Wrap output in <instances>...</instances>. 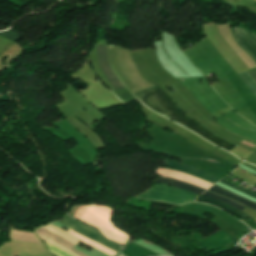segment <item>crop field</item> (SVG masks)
<instances>
[{"mask_svg": "<svg viewBox=\"0 0 256 256\" xmlns=\"http://www.w3.org/2000/svg\"><path fill=\"white\" fill-rule=\"evenodd\" d=\"M134 97L143 104H145L151 110L156 111L168 117L169 119L174 120L175 122L192 130L193 132L199 134L200 136L206 138L212 143L228 151L236 146L216 137L206 128L184 115L178 109V107L165 95L164 91L159 89L157 86L136 93L134 94Z\"/></svg>", "mask_w": 256, "mask_h": 256, "instance_id": "8a807250", "label": "crop field"}, {"mask_svg": "<svg viewBox=\"0 0 256 256\" xmlns=\"http://www.w3.org/2000/svg\"><path fill=\"white\" fill-rule=\"evenodd\" d=\"M59 222L68 226L69 228H71V229H73V230H75V231H77V232H79V233H81V234H83V235H85V236H87V237H89V238H91V239H93V240H95V241H97V242H99V243L117 251V252H119V250H120L119 246L103 239L95 229H93L91 227H88V226L80 223L77 220L72 219L68 215L66 216L65 219H63ZM43 227L52 231V232H54V233H56V234H58V235H60V236H62V237H64V238H66V239H68V240H70V241H72V242H74V243H76V244L78 242H80L81 239H83L82 242H84V243H86V244H88L92 247H95V248H97V249H99V250H101V251H103V252H105V253H107L111 256L116 254V252H114V251H112V250H110V249H108V248H106V247H104V246H102V245H100V244H98V243H96V242H94V241H92V240H90V239H88V238L70 230V229H68L67 232H69V233H71V234H73V235H75V236H77L81 239H79V238H77V237H75V236H73V235H71V234L53 226V225H51V224L45 225ZM44 228H42V227L38 228L36 230V233L45 237V238H47V239H49V240H51V241H53V242H55V243H57V244H59V245H61V246H63L64 248L76 253L79 256H86V255H84V254H82V253H80V252H78L77 250L74 249L75 244H73V243L55 235L54 233H52V232H50V231H48Z\"/></svg>", "mask_w": 256, "mask_h": 256, "instance_id": "ac0d7876", "label": "crop field"}, {"mask_svg": "<svg viewBox=\"0 0 256 256\" xmlns=\"http://www.w3.org/2000/svg\"><path fill=\"white\" fill-rule=\"evenodd\" d=\"M88 207L110 217L111 211L106 209V208L96 207V206H88ZM89 208L81 207L80 210L77 212V214L75 213L76 216H78V217H80L82 219H85V220H87V221H89L91 223H94V224H96V225H98L100 227H103V228H105V229H107L109 231H112V232H114V233H116L118 235H121V236H123V237L128 239V236L126 234L120 232L119 230H117L116 228H114L112 226L109 217H107V216H105L103 214H100V213H98L96 211H93V210H91ZM76 216H74V217H76ZM78 217H76V218H78ZM80 218H78V219H80ZM82 219H80V220H82ZM85 220H82V221H85ZM87 221H85V222H87ZM89 222H87V223H89ZM91 223H89V224H91ZM94 224H91V225L97 227L107 237H109V238H111V239H113V240H115V241H117V242H119V243H121L123 245L126 244L127 239H125V238H123L121 236H118V235H116V234H114L112 232H109V231H107V230H105L103 228H100V227H98V226H96Z\"/></svg>", "mask_w": 256, "mask_h": 256, "instance_id": "34b2d1b8", "label": "crop field"}, {"mask_svg": "<svg viewBox=\"0 0 256 256\" xmlns=\"http://www.w3.org/2000/svg\"><path fill=\"white\" fill-rule=\"evenodd\" d=\"M97 57L103 74L110 81L115 91L124 89V86L110 67L106 46H97Z\"/></svg>", "mask_w": 256, "mask_h": 256, "instance_id": "412701ff", "label": "crop field"}, {"mask_svg": "<svg viewBox=\"0 0 256 256\" xmlns=\"http://www.w3.org/2000/svg\"><path fill=\"white\" fill-rule=\"evenodd\" d=\"M232 33L238 43L249 53L256 62V34L242 28H232Z\"/></svg>", "mask_w": 256, "mask_h": 256, "instance_id": "f4fd0767", "label": "crop field"}, {"mask_svg": "<svg viewBox=\"0 0 256 256\" xmlns=\"http://www.w3.org/2000/svg\"><path fill=\"white\" fill-rule=\"evenodd\" d=\"M165 165L170 167V168L188 173L192 176H195V177H198V178H201V179L213 182V183L220 180V179H218V178H216V177H214L210 174H207V173H204V172L200 171L197 168L190 167V166H187V165L172 163V162H169V161H165Z\"/></svg>", "mask_w": 256, "mask_h": 256, "instance_id": "dd49c442", "label": "crop field"}, {"mask_svg": "<svg viewBox=\"0 0 256 256\" xmlns=\"http://www.w3.org/2000/svg\"><path fill=\"white\" fill-rule=\"evenodd\" d=\"M156 183H163V184L171 185L173 187L184 189V190L196 193V194H201L205 191L203 189L197 188L195 186H192V185L180 182V181H176V180H172V179H168V178H162V177H159L158 180L156 181Z\"/></svg>", "mask_w": 256, "mask_h": 256, "instance_id": "e52e79f7", "label": "crop field"}, {"mask_svg": "<svg viewBox=\"0 0 256 256\" xmlns=\"http://www.w3.org/2000/svg\"><path fill=\"white\" fill-rule=\"evenodd\" d=\"M196 202H202V203H206V204H209V205L216 206V207H218V208H220V209H224V210H226V211H228V212L233 213L234 215H236V216H237L238 218H240V219L249 220V217H247L244 213H242V212H240V211H237V210H235V209H233V208H230V207H228V206H226V205H224V204H222V203H220V202H218V201H215V200H213V199L204 198V197H200V196H199V197L196 199Z\"/></svg>", "mask_w": 256, "mask_h": 256, "instance_id": "d8731c3e", "label": "crop field"}, {"mask_svg": "<svg viewBox=\"0 0 256 256\" xmlns=\"http://www.w3.org/2000/svg\"><path fill=\"white\" fill-rule=\"evenodd\" d=\"M209 190L213 191L215 193H218L220 195H223L225 197L231 198V199H233V200H235V201H237V202H239V203H241V204H243V205H245V206H247L249 208H252V209L256 210V204L255 203H252V202H250V201H248V200H246V199H244L242 197H239V196H237V195H235V194H233L231 192H228V191H226V190H224L222 188H219V187H217L215 185L211 189H209Z\"/></svg>", "mask_w": 256, "mask_h": 256, "instance_id": "5a996713", "label": "crop field"}, {"mask_svg": "<svg viewBox=\"0 0 256 256\" xmlns=\"http://www.w3.org/2000/svg\"><path fill=\"white\" fill-rule=\"evenodd\" d=\"M12 238H13V241L31 242V243L40 244L37 238L33 235V232L20 231V230L14 229L12 233Z\"/></svg>", "mask_w": 256, "mask_h": 256, "instance_id": "3316defc", "label": "crop field"}, {"mask_svg": "<svg viewBox=\"0 0 256 256\" xmlns=\"http://www.w3.org/2000/svg\"><path fill=\"white\" fill-rule=\"evenodd\" d=\"M201 196H205V197H210V198L216 199V200L221 201V202H223V203H225V204H228V205H230V206H232V207H234V208H236V209H238V210H240V211H242L243 209H245V207H243V206H241V205H239V204H237V203H235V202H233V201H231V200H228V199L219 197V196H217V195H215V194H212V193H210V192H208V191H206V192H205L203 195H201Z\"/></svg>", "mask_w": 256, "mask_h": 256, "instance_id": "28ad6ade", "label": "crop field"}, {"mask_svg": "<svg viewBox=\"0 0 256 256\" xmlns=\"http://www.w3.org/2000/svg\"><path fill=\"white\" fill-rule=\"evenodd\" d=\"M240 78L244 81V83L248 86V88L251 90V92L256 97V84L255 82L245 73L239 74Z\"/></svg>", "mask_w": 256, "mask_h": 256, "instance_id": "d1516ede", "label": "crop field"}, {"mask_svg": "<svg viewBox=\"0 0 256 256\" xmlns=\"http://www.w3.org/2000/svg\"><path fill=\"white\" fill-rule=\"evenodd\" d=\"M0 36L10 39L14 42H16L17 40H19L22 37L10 29L7 31H4V32H0Z\"/></svg>", "mask_w": 256, "mask_h": 256, "instance_id": "22f410ed", "label": "crop field"}, {"mask_svg": "<svg viewBox=\"0 0 256 256\" xmlns=\"http://www.w3.org/2000/svg\"><path fill=\"white\" fill-rule=\"evenodd\" d=\"M247 73L256 81V69L252 71H247Z\"/></svg>", "mask_w": 256, "mask_h": 256, "instance_id": "cbeb9de0", "label": "crop field"}, {"mask_svg": "<svg viewBox=\"0 0 256 256\" xmlns=\"http://www.w3.org/2000/svg\"><path fill=\"white\" fill-rule=\"evenodd\" d=\"M122 256V255H121Z\"/></svg>", "mask_w": 256, "mask_h": 256, "instance_id": "5142ce71", "label": "crop field"}]
</instances>
